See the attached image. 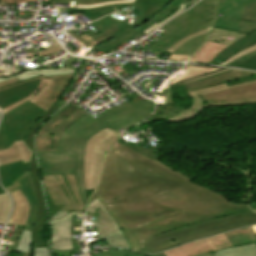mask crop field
Returning a JSON list of instances; mask_svg holds the SVG:
<instances>
[{
	"label": "crop field",
	"mask_w": 256,
	"mask_h": 256,
	"mask_svg": "<svg viewBox=\"0 0 256 256\" xmlns=\"http://www.w3.org/2000/svg\"><path fill=\"white\" fill-rule=\"evenodd\" d=\"M110 208L135 236L143 253L256 224V214L248 206L191 182L146 200Z\"/></svg>",
	"instance_id": "obj_1"
},
{
	"label": "crop field",
	"mask_w": 256,
	"mask_h": 256,
	"mask_svg": "<svg viewBox=\"0 0 256 256\" xmlns=\"http://www.w3.org/2000/svg\"><path fill=\"white\" fill-rule=\"evenodd\" d=\"M190 178L118 143L109 151L97 190L108 205L133 202L168 191ZM88 203V204H89Z\"/></svg>",
	"instance_id": "obj_2"
},
{
	"label": "crop field",
	"mask_w": 256,
	"mask_h": 256,
	"mask_svg": "<svg viewBox=\"0 0 256 256\" xmlns=\"http://www.w3.org/2000/svg\"><path fill=\"white\" fill-rule=\"evenodd\" d=\"M196 1L197 0H122L93 5H75V7L89 9L90 12L114 7L116 11L119 9L121 10L116 13L124 16L129 13L131 8L139 9L140 12L135 14L136 16L134 18L137 20L134 21L133 26L124 23L127 18L114 14L91 23V25L101 33L97 36L91 31L85 34L96 41L103 39L106 42L116 36L126 41L141 32L147 34L156 29L174 14L182 11L185 7L192 5ZM159 10H161V12H159Z\"/></svg>",
	"instance_id": "obj_3"
},
{
	"label": "crop field",
	"mask_w": 256,
	"mask_h": 256,
	"mask_svg": "<svg viewBox=\"0 0 256 256\" xmlns=\"http://www.w3.org/2000/svg\"><path fill=\"white\" fill-rule=\"evenodd\" d=\"M106 128L89 115L67 128L59 141L58 152L36 153L41 175L76 174L81 197L87 198L83 182V150L86 141L96 132Z\"/></svg>",
	"instance_id": "obj_4"
},
{
	"label": "crop field",
	"mask_w": 256,
	"mask_h": 256,
	"mask_svg": "<svg viewBox=\"0 0 256 256\" xmlns=\"http://www.w3.org/2000/svg\"><path fill=\"white\" fill-rule=\"evenodd\" d=\"M217 0H201L190 10L178 15L161 29L167 31L147 49L164 53L184 37L212 26Z\"/></svg>",
	"instance_id": "obj_5"
},
{
	"label": "crop field",
	"mask_w": 256,
	"mask_h": 256,
	"mask_svg": "<svg viewBox=\"0 0 256 256\" xmlns=\"http://www.w3.org/2000/svg\"><path fill=\"white\" fill-rule=\"evenodd\" d=\"M45 112L27 101L4 114L0 125V149L8 148L14 141L24 140L31 127Z\"/></svg>",
	"instance_id": "obj_6"
},
{
	"label": "crop field",
	"mask_w": 256,
	"mask_h": 256,
	"mask_svg": "<svg viewBox=\"0 0 256 256\" xmlns=\"http://www.w3.org/2000/svg\"><path fill=\"white\" fill-rule=\"evenodd\" d=\"M249 227L198 240L164 253L166 256H195L212 250L256 243V234H254L252 228L248 229Z\"/></svg>",
	"instance_id": "obj_7"
},
{
	"label": "crop field",
	"mask_w": 256,
	"mask_h": 256,
	"mask_svg": "<svg viewBox=\"0 0 256 256\" xmlns=\"http://www.w3.org/2000/svg\"><path fill=\"white\" fill-rule=\"evenodd\" d=\"M84 114V111L69 103L57 111L38 130L35 138L36 152L57 151L62 132Z\"/></svg>",
	"instance_id": "obj_8"
},
{
	"label": "crop field",
	"mask_w": 256,
	"mask_h": 256,
	"mask_svg": "<svg viewBox=\"0 0 256 256\" xmlns=\"http://www.w3.org/2000/svg\"><path fill=\"white\" fill-rule=\"evenodd\" d=\"M120 134L106 128L94 134L84 151V181L86 190L94 189L106 152Z\"/></svg>",
	"instance_id": "obj_9"
},
{
	"label": "crop field",
	"mask_w": 256,
	"mask_h": 256,
	"mask_svg": "<svg viewBox=\"0 0 256 256\" xmlns=\"http://www.w3.org/2000/svg\"><path fill=\"white\" fill-rule=\"evenodd\" d=\"M45 187L55 205H66L64 211H85L81 201L75 175L41 176Z\"/></svg>",
	"instance_id": "obj_10"
},
{
	"label": "crop field",
	"mask_w": 256,
	"mask_h": 256,
	"mask_svg": "<svg viewBox=\"0 0 256 256\" xmlns=\"http://www.w3.org/2000/svg\"><path fill=\"white\" fill-rule=\"evenodd\" d=\"M22 186L9 192L14 207L8 224L25 225L26 230L32 229L37 208L33 181L29 172L18 181Z\"/></svg>",
	"instance_id": "obj_11"
},
{
	"label": "crop field",
	"mask_w": 256,
	"mask_h": 256,
	"mask_svg": "<svg viewBox=\"0 0 256 256\" xmlns=\"http://www.w3.org/2000/svg\"><path fill=\"white\" fill-rule=\"evenodd\" d=\"M58 109H59V107L53 105L45 113V115L41 119H39L38 122L33 126V128L30 130L28 136L24 140L25 144L33 152L29 169H30V174H31V176L33 178V181H34V187H35L37 203H38L36 219H35V223H34L33 230H32V243L34 245L33 249L46 248L45 245L40 240L37 232L42 229L44 224H47L46 211H45L44 199H43V194H42V188H41V184H40L39 172H38V167H37V163H36V159H35V155H34V150H33V138H34V133H35L36 128L47 117H49L51 114H53Z\"/></svg>",
	"instance_id": "obj_12"
},
{
	"label": "crop field",
	"mask_w": 256,
	"mask_h": 256,
	"mask_svg": "<svg viewBox=\"0 0 256 256\" xmlns=\"http://www.w3.org/2000/svg\"><path fill=\"white\" fill-rule=\"evenodd\" d=\"M153 108V101L144 100L136 103L130 101L102 113L95 119L116 131L135 118L153 110Z\"/></svg>",
	"instance_id": "obj_13"
},
{
	"label": "crop field",
	"mask_w": 256,
	"mask_h": 256,
	"mask_svg": "<svg viewBox=\"0 0 256 256\" xmlns=\"http://www.w3.org/2000/svg\"><path fill=\"white\" fill-rule=\"evenodd\" d=\"M255 82L256 81L237 85V86H242V85L251 84ZM237 86L227 87L226 84H223V85H218V86H213L209 88L187 92L193 98V104L191 107L185 109L175 105H166L163 108V110L154 119L171 122V123L186 121L188 119L195 117L197 114H199L203 110L202 99L198 95L219 91V90H224L228 88H233Z\"/></svg>",
	"instance_id": "obj_14"
},
{
	"label": "crop field",
	"mask_w": 256,
	"mask_h": 256,
	"mask_svg": "<svg viewBox=\"0 0 256 256\" xmlns=\"http://www.w3.org/2000/svg\"><path fill=\"white\" fill-rule=\"evenodd\" d=\"M204 106L248 105L256 103V83L200 96Z\"/></svg>",
	"instance_id": "obj_15"
},
{
	"label": "crop field",
	"mask_w": 256,
	"mask_h": 256,
	"mask_svg": "<svg viewBox=\"0 0 256 256\" xmlns=\"http://www.w3.org/2000/svg\"><path fill=\"white\" fill-rule=\"evenodd\" d=\"M87 211L99 214L97 227L100 240L106 239L109 246L130 249L126 238L97 198L88 205Z\"/></svg>",
	"instance_id": "obj_16"
},
{
	"label": "crop field",
	"mask_w": 256,
	"mask_h": 256,
	"mask_svg": "<svg viewBox=\"0 0 256 256\" xmlns=\"http://www.w3.org/2000/svg\"><path fill=\"white\" fill-rule=\"evenodd\" d=\"M245 0H220L214 27L238 31ZM218 14H222L219 17Z\"/></svg>",
	"instance_id": "obj_17"
},
{
	"label": "crop field",
	"mask_w": 256,
	"mask_h": 256,
	"mask_svg": "<svg viewBox=\"0 0 256 256\" xmlns=\"http://www.w3.org/2000/svg\"><path fill=\"white\" fill-rule=\"evenodd\" d=\"M221 68L201 67L186 65L185 68L170 80L166 81L158 94L157 105L173 104L170 85L190 79L192 77L220 70Z\"/></svg>",
	"instance_id": "obj_18"
},
{
	"label": "crop field",
	"mask_w": 256,
	"mask_h": 256,
	"mask_svg": "<svg viewBox=\"0 0 256 256\" xmlns=\"http://www.w3.org/2000/svg\"><path fill=\"white\" fill-rule=\"evenodd\" d=\"M71 215L67 218L49 224L52 238L51 250L72 249L70 234Z\"/></svg>",
	"instance_id": "obj_19"
},
{
	"label": "crop field",
	"mask_w": 256,
	"mask_h": 256,
	"mask_svg": "<svg viewBox=\"0 0 256 256\" xmlns=\"http://www.w3.org/2000/svg\"><path fill=\"white\" fill-rule=\"evenodd\" d=\"M73 75L74 74L56 76L54 79V83L48 90L47 94L34 104L38 105L39 107L47 111L66 89Z\"/></svg>",
	"instance_id": "obj_20"
},
{
	"label": "crop field",
	"mask_w": 256,
	"mask_h": 256,
	"mask_svg": "<svg viewBox=\"0 0 256 256\" xmlns=\"http://www.w3.org/2000/svg\"><path fill=\"white\" fill-rule=\"evenodd\" d=\"M38 81H31L16 87L9 88L0 92V109L4 108L26 96L36 89Z\"/></svg>",
	"instance_id": "obj_21"
},
{
	"label": "crop field",
	"mask_w": 256,
	"mask_h": 256,
	"mask_svg": "<svg viewBox=\"0 0 256 256\" xmlns=\"http://www.w3.org/2000/svg\"><path fill=\"white\" fill-rule=\"evenodd\" d=\"M32 152L23 141L14 142L8 149L0 150V165L23 159L30 161Z\"/></svg>",
	"instance_id": "obj_22"
},
{
	"label": "crop field",
	"mask_w": 256,
	"mask_h": 256,
	"mask_svg": "<svg viewBox=\"0 0 256 256\" xmlns=\"http://www.w3.org/2000/svg\"><path fill=\"white\" fill-rule=\"evenodd\" d=\"M29 163L23 164L22 160L13 162L10 164L0 166V182L4 187L12 181L19 178L22 174H24L29 167Z\"/></svg>",
	"instance_id": "obj_23"
},
{
	"label": "crop field",
	"mask_w": 256,
	"mask_h": 256,
	"mask_svg": "<svg viewBox=\"0 0 256 256\" xmlns=\"http://www.w3.org/2000/svg\"><path fill=\"white\" fill-rule=\"evenodd\" d=\"M256 29V0H246L239 32L250 34Z\"/></svg>",
	"instance_id": "obj_24"
},
{
	"label": "crop field",
	"mask_w": 256,
	"mask_h": 256,
	"mask_svg": "<svg viewBox=\"0 0 256 256\" xmlns=\"http://www.w3.org/2000/svg\"><path fill=\"white\" fill-rule=\"evenodd\" d=\"M256 43V30L251 33L249 36L239 40L237 43L233 44L230 48L226 49L222 53H220L211 63L218 65L219 63L226 60L231 55L235 54L236 52L251 46Z\"/></svg>",
	"instance_id": "obj_25"
},
{
	"label": "crop field",
	"mask_w": 256,
	"mask_h": 256,
	"mask_svg": "<svg viewBox=\"0 0 256 256\" xmlns=\"http://www.w3.org/2000/svg\"><path fill=\"white\" fill-rule=\"evenodd\" d=\"M211 254L213 256H256V248L254 244H249L219 251H213Z\"/></svg>",
	"instance_id": "obj_26"
},
{
	"label": "crop field",
	"mask_w": 256,
	"mask_h": 256,
	"mask_svg": "<svg viewBox=\"0 0 256 256\" xmlns=\"http://www.w3.org/2000/svg\"><path fill=\"white\" fill-rule=\"evenodd\" d=\"M52 83H53V81H51V80H41L38 88L35 91H33L27 98L2 109L3 113L8 112L9 110L15 108L16 106L20 105L21 103H23L27 100H30L33 103L36 102L38 99H40L46 93V91L52 85Z\"/></svg>",
	"instance_id": "obj_27"
},
{
	"label": "crop field",
	"mask_w": 256,
	"mask_h": 256,
	"mask_svg": "<svg viewBox=\"0 0 256 256\" xmlns=\"http://www.w3.org/2000/svg\"><path fill=\"white\" fill-rule=\"evenodd\" d=\"M97 198L103 203L105 209L109 212V214L112 216L114 221L118 224V226L121 229V231L123 232L124 236L129 241L131 249L135 250V251H138V252H141L136 239L129 232L128 228L125 226V224L122 222V220L109 208L108 205L105 204V202L99 196Z\"/></svg>",
	"instance_id": "obj_28"
},
{
	"label": "crop field",
	"mask_w": 256,
	"mask_h": 256,
	"mask_svg": "<svg viewBox=\"0 0 256 256\" xmlns=\"http://www.w3.org/2000/svg\"><path fill=\"white\" fill-rule=\"evenodd\" d=\"M31 232L23 230L16 252H31V256H47L46 249L31 250Z\"/></svg>",
	"instance_id": "obj_29"
},
{
	"label": "crop field",
	"mask_w": 256,
	"mask_h": 256,
	"mask_svg": "<svg viewBox=\"0 0 256 256\" xmlns=\"http://www.w3.org/2000/svg\"><path fill=\"white\" fill-rule=\"evenodd\" d=\"M207 35L208 34H205L186 42L181 47H179L176 51H174L172 54L192 56L195 53V51L199 48V46L203 43Z\"/></svg>",
	"instance_id": "obj_30"
},
{
	"label": "crop field",
	"mask_w": 256,
	"mask_h": 256,
	"mask_svg": "<svg viewBox=\"0 0 256 256\" xmlns=\"http://www.w3.org/2000/svg\"><path fill=\"white\" fill-rule=\"evenodd\" d=\"M11 207L10 199L6 194L0 195V223H5Z\"/></svg>",
	"instance_id": "obj_31"
},
{
	"label": "crop field",
	"mask_w": 256,
	"mask_h": 256,
	"mask_svg": "<svg viewBox=\"0 0 256 256\" xmlns=\"http://www.w3.org/2000/svg\"><path fill=\"white\" fill-rule=\"evenodd\" d=\"M68 12H76V11H84L85 14L88 16V18L92 21L98 17L104 16L106 14L114 12V9H107V10H102V11H97L90 13L89 10H81V9H67Z\"/></svg>",
	"instance_id": "obj_32"
},
{
	"label": "crop field",
	"mask_w": 256,
	"mask_h": 256,
	"mask_svg": "<svg viewBox=\"0 0 256 256\" xmlns=\"http://www.w3.org/2000/svg\"><path fill=\"white\" fill-rule=\"evenodd\" d=\"M254 51H256V44L236 53L235 55L231 56L226 61H224L221 65L229 64V63L235 61L236 59L241 58V57H243L251 52H254Z\"/></svg>",
	"instance_id": "obj_33"
},
{
	"label": "crop field",
	"mask_w": 256,
	"mask_h": 256,
	"mask_svg": "<svg viewBox=\"0 0 256 256\" xmlns=\"http://www.w3.org/2000/svg\"><path fill=\"white\" fill-rule=\"evenodd\" d=\"M226 66H234V67H241V68H250V69H256V56L252 57L242 63L233 62Z\"/></svg>",
	"instance_id": "obj_34"
},
{
	"label": "crop field",
	"mask_w": 256,
	"mask_h": 256,
	"mask_svg": "<svg viewBox=\"0 0 256 256\" xmlns=\"http://www.w3.org/2000/svg\"><path fill=\"white\" fill-rule=\"evenodd\" d=\"M121 41H123V40H121L120 38H115V39H113V40H111V41H109V42H107V43H104V44H101V45H98V46H96V48H98V49H100L101 51H103V52H108V51H110V50H112V49H114V45H116V44H118L119 42H121Z\"/></svg>",
	"instance_id": "obj_35"
},
{
	"label": "crop field",
	"mask_w": 256,
	"mask_h": 256,
	"mask_svg": "<svg viewBox=\"0 0 256 256\" xmlns=\"http://www.w3.org/2000/svg\"><path fill=\"white\" fill-rule=\"evenodd\" d=\"M69 1H76L75 4H93V3L105 2L109 0H53V3L69 4Z\"/></svg>",
	"instance_id": "obj_36"
},
{
	"label": "crop field",
	"mask_w": 256,
	"mask_h": 256,
	"mask_svg": "<svg viewBox=\"0 0 256 256\" xmlns=\"http://www.w3.org/2000/svg\"><path fill=\"white\" fill-rule=\"evenodd\" d=\"M210 30V28L204 30V31H201V32H197L181 41H179L177 44H175L173 47H171L168 52L172 53L174 50H176L180 45H182L184 42H186L187 40L191 39V38H194V37H197L199 35H202V34H205V33H208Z\"/></svg>",
	"instance_id": "obj_37"
},
{
	"label": "crop field",
	"mask_w": 256,
	"mask_h": 256,
	"mask_svg": "<svg viewBox=\"0 0 256 256\" xmlns=\"http://www.w3.org/2000/svg\"><path fill=\"white\" fill-rule=\"evenodd\" d=\"M53 43L52 45L47 48L46 50H41V51H37L38 52V55L41 56V55H45V54H51V53H55L59 50H62V48L58 45V43L55 41V39H53Z\"/></svg>",
	"instance_id": "obj_38"
},
{
	"label": "crop field",
	"mask_w": 256,
	"mask_h": 256,
	"mask_svg": "<svg viewBox=\"0 0 256 256\" xmlns=\"http://www.w3.org/2000/svg\"><path fill=\"white\" fill-rule=\"evenodd\" d=\"M46 196H47V203H48V214H49V218H51L63 206H54V204H53L51 198L49 197V195L46 194Z\"/></svg>",
	"instance_id": "obj_39"
},
{
	"label": "crop field",
	"mask_w": 256,
	"mask_h": 256,
	"mask_svg": "<svg viewBox=\"0 0 256 256\" xmlns=\"http://www.w3.org/2000/svg\"><path fill=\"white\" fill-rule=\"evenodd\" d=\"M54 77H55V76H52V77H37V78H32V79H28V80L19 82V83H17V84L12 85V86H16V85H19V84H22V83H26V82H29V81H31V80H37V79H52V80H53ZM12 86H8V87H5V88H3V89H0V91H1V90H4V89H6V88L12 87Z\"/></svg>",
	"instance_id": "obj_40"
},
{
	"label": "crop field",
	"mask_w": 256,
	"mask_h": 256,
	"mask_svg": "<svg viewBox=\"0 0 256 256\" xmlns=\"http://www.w3.org/2000/svg\"><path fill=\"white\" fill-rule=\"evenodd\" d=\"M67 214H68V212L58 211V212L50 219V222L53 221V220H57V219L63 218V217H65Z\"/></svg>",
	"instance_id": "obj_41"
},
{
	"label": "crop field",
	"mask_w": 256,
	"mask_h": 256,
	"mask_svg": "<svg viewBox=\"0 0 256 256\" xmlns=\"http://www.w3.org/2000/svg\"><path fill=\"white\" fill-rule=\"evenodd\" d=\"M190 57H183V56H174L171 54V56L167 59V60H176V61H184V62H187V60L189 59Z\"/></svg>",
	"instance_id": "obj_42"
},
{
	"label": "crop field",
	"mask_w": 256,
	"mask_h": 256,
	"mask_svg": "<svg viewBox=\"0 0 256 256\" xmlns=\"http://www.w3.org/2000/svg\"><path fill=\"white\" fill-rule=\"evenodd\" d=\"M17 82H19V80L17 78H13L11 80L4 81V82L0 83V88L17 83Z\"/></svg>",
	"instance_id": "obj_43"
},
{
	"label": "crop field",
	"mask_w": 256,
	"mask_h": 256,
	"mask_svg": "<svg viewBox=\"0 0 256 256\" xmlns=\"http://www.w3.org/2000/svg\"><path fill=\"white\" fill-rule=\"evenodd\" d=\"M26 173H27V172H26ZM26 173H25V174H26ZM25 174H24V175H25ZM22 176H23V175H22ZM22 176H21V177H22ZM21 177H20V178H21ZM20 178H19V179H20ZM19 179H18V180H19ZM18 180H16V181H18ZM16 181H14V182H12L11 184L7 185V186L5 187L6 191H10V190H12V189H14V188L20 186V184L17 183Z\"/></svg>",
	"instance_id": "obj_44"
},
{
	"label": "crop field",
	"mask_w": 256,
	"mask_h": 256,
	"mask_svg": "<svg viewBox=\"0 0 256 256\" xmlns=\"http://www.w3.org/2000/svg\"><path fill=\"white\" fill-rule=\"evenodd\" d=\"M1 1L7 2V3H22V2L35 1V0H1Z\"/></svg>",
	"instance_id": "obj_45"
},
{
	"label": "crop field",
	"mask_w": 256,
	"mask_h": 256,
	"mask_svg": "<svg viewBox=\"0 0 256 256\" xmlns=\"http://www.w3.org/2000/svg\"><path fill=\"white\" fill-rule=\"evenodd\" d=\"M148 256H165L163 252H160V253H155V254H151V255H148ZM198 256H212L210 253H205V254H201V255H198Z\"/></svg>",
	"instance_id": "obj_46"
},
{
	"label": "crop field",
	"mask_w": 256,
	"mask_h": 256,
	"mask_svg": "<svg viewBox=\"0 0 256 256\" xmlns=\"http://www.w3.org/2000/svg\"><path fill=\"white\" fill-rule=\"evenodd\" d=\"M254 55H256V52H254V53H252V54H250V55H248V56H246V57H243V58H241V59H238V60H236V61L241 62V61H243V60H245V59H247V58H249V57H252V56H254Z\"/></svg>",
	"instance_id": "obj_47"
},
{
	"label": "crop field",
	"mask_w": 256,
	"mask_h": 256,
	"mask_svg": "<svg viewBox=\"0 0 256 256\" xmlns=\"http://www.w3.org/2000/svg\"><path fill=\"white\" fill-rule=\"evenodd\" d=\"M249 207L251 208V210L256 209V203L250 204Z\"/></svg>",
	"instance_id": "obj_48"
},
{
	"label": "crop field",
	"mask_w": 256,
	"mask_h": 256,
	"mask_svg": "<svg viewBox=\"0 0 256 256\" xmlns=\"http://www.w3.org/2000/svg\"><path fill=\"white\" fill-rule=\"evenodd\" d=\"M3 193H5L2 189H0V194H3Z\"/></svg>",
	"instance_id": "obj_49"
},
{
	"label": "crop field",
	"mask_w": 256,
	"mask_h": 256,
	"mask_svg": "<svg viewBox=\"0 0 256 256\" xmlns=\"http://www.w3.org/2000/svg\"><path fill=\"white\" fill-rule=\"evenodd\" d=\"M256 245V244H255Z\"/></svg>",
	"instance_id": "obj_50"
}]
</instances>
